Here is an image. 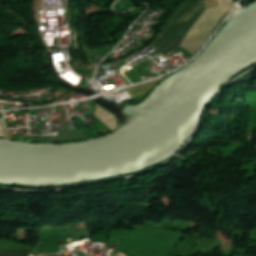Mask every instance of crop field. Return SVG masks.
I'll return each instance as SVG.
<instances>
[{
  "label": "crop field",
  "mask_w": 256,
  "mask_h": 256,
  "mask_svg": "<svg viewBox=\"0 0 256 256\" xmlns=\"http://www.w3.org/2000/svg\"><path fill=\"white\" fill-rule=\"evenodd\" d=\"M0 256H28V249L0 250Z\"/></svg>",
  "instance_id": "1"
},
{
  "label": "crop field",
  "mask_w": 256,
  "mask_h": 256,
  "mask_svg": "<svg viewBox=\"0 0 256 256\" xmlns=\"http://www.w3.org/2000/svg\"><path fill=\"white\" fill-rule=\"evenodd\" d=\"M49 256H59V254H55V255H49Z\"/></svg>",
  "instance_id": "2"
}]
</instances>
